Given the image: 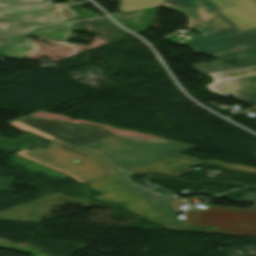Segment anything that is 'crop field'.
Returning a JSON list of instances; mask_svg holds the SVG:
<instances>
[{"mask_svg":"<svg viewBox=\"0 0 256 256\" xmlns=\"http://www.w3.org/2000/svg\"><path fill=\"white\" fill-rule=\"evenodd\" d=\"M8 124L21 131H29L50 140L47 148L36 147L30 151L20 150L14 154L46 168L67 174L79 184L117 173L98 156L54 139L17 121ZM73 159L80 162L76 163L72 161Z\"/></svg>","mask_w":256,"mask_h":256,"instance_id":"obj_1","label":"crop field"},{"mask_svg":"<svg viewBox=\"0 0 256 256\" xmlns=\"http://www.w3.org/2000/svg\"><path fill=\"white\" fill-rule=\"evenodd\" d=\"M111 163L119 171L196 147L171 140H152L111 135L80 146Z\"/></svg>","mask_w":256,"mask_h":256,"instance_id":"obj_2","label":"crop field"},{"mask_svg":"<svg viewBox=\"0 0 256 256\" xmlns=\"http://www.w3.org/2000/svg\"><path fill=\"white\" fill-rule=\"evenodd\" d=\"M187 28L203 35L182 45L208 56L256 46V28L242 31L219 11Z\"/></svg>","mask_w":256,"mask_h":256,"instance_id":"obj_3","label":"crop field"},{"mask_svg":"<svg viewBox=\"0 0 256 256\" xmlns=\"http://www.w3.org/2000/svg\"><path fill=\"white\" fill-rule=\"evenodd\" d=\"M90 187L104 192L103 195L95 198L110 202H117L133 210L140 216L153 221L161 222L164 224V226L173 230L214 233L212 229L188 228L174 224L172 218L128 188L120 174L101 178L97 181L91 182ZM132 200H136V202H131Z\"/></svg>","mask_w":256,"mask_h":256,"instance_id":"obj_4","label":"crop field"},{"mask_svg":"<svg viewBox=\"0 0 256 256\" xmlns=\"http://www.w3.org/2000/svg\"><path fill=\"white\" fill-rule=\"evenodd\" d=\"M184 225L212 227L217 233L256 236V206L237 210L208 205L207 210L186 211Z\"/></svg>","mask_w":256,"mask_h":256,"instance_id":"obj_5","label":"crop field"},{"mask_svg":"<svg viewBox=\"0 0 256 256\" xmlns=\"http://www.w3.org/2000/svg\"><path fill=\"white\" fill-rule=\"evenodd\" d=\"M76 3L69 0L65 4H50L49 2L4 7L0 9V30H12L21 27L43 25L52 22L64 21L75 16L69 5ZM2 24H6L3 26Z\"/></svg>","mask_w":256,"mask_h":256,"instance_id":"obj_6","label":"crop field"},{"mask_svg":"<svg viewBox=\"0 0 256 256\" xmlns=\"http://www.w3.org/2000/svg\"><path fill=\"white\" fill-rule=\"evenodd\" d=\"M19 121L42 131H45L49 134H52L77 146L113 134L96 126L42 117H31Z\"/></svg>","mask_w":256,"mask_h":256,"instance_id":"obj_7","label":"crop field"},{"mask_svg":"<svg viewBox=\"0 0 256 256\" xmlns=\"http://www.w3.org/2000/svg\"><path fill=\"white\" fill-rule=\"evenodd\" d=\"M197 164L212 165L256 175L255 168L240 166L236 164H225L217 161H203L199 159L182 156L180 154L170 156L158 161H154L145 165H141L128 171L162 173L176 176L182 173L189 172L190 169Z\"/></svg>","mask_w":256,"mask_h":256,"instance_id":"obj_8","label":"crop field"},{"mask_svg":"<svg viewBox=\"0 0 256 256\" xmlns=\"http://www.w3.org/2000/svg\"><path fill=\"white\" fill-rule=\"evenodd\" d=\"M72 27H73V23H64V24L47 26V27H41L40 30L32 33L31 35L35 34V35L66 42V40L71 34ZM58 30H62V32ZM52 32H55V33H52ZM31 35H29L25 39L18 40L8 45L6 48L2 50L3 55L9 58L22 59L30 50H32L33 45L29 40V37Z\"/></svg>","mask_w":256,"mask_h":256,"instance_id":"obj_9","label":"crop field"},{"mask_svg":"<svg viewBox=\"0 0 256 256\" xmlns=\"http://www.w3.org/2000/svg\"><path fill=\"white\" fill-rule=\"evenodd\" d=\"M215 58L219 61L211 64L200 63L194 65V67L201 73L207 74L256 65V47L216 56ZM230 61H236L238 67L229 68L225 63Z\"/></svg>","mask_w":256,"mask_h":256,"instance_id":"obj_10","label":"crop field"},{"mask_svg":"<svg viewBox=\"0 0 256 256\" xmlns=\"http://www.w3.org/2000/svg\"><path fill=\"white\" fill-rule=\"evenodd\" d=\"M122 175L128 185H130L133 189H135L142 196L149 199L151 202H153L159 208H161L162 210H164L165 212L169 213L174 218H176V222L178 224H182L181 222L185 221L184 219L177 218V216L179 215V209L185 203L184 201L174 198V197L162 195L150 188L145 189V188L131 182L129 179V176L132 174H130V173H122Z\"/></svg>","mask_w":256,"mask_h":256,"instance_id":"obj_11","label":"crop field"},{"mask_svg":"<svg viewBox=\"0 0 256 256\" xmlns=\"http://www.w3.org/2000/svg\"><path fill=\"white\" fill-rule=\"evenodd\" d=\"M219 11L242 30L256 27V7L247 0H235Z\"/></svg>","mask_w":256,"mask_h":256,"instance_id":"obj_12","label":"crop field"},{"mask_svg":"<svg viewBox=\"0 0 256 256\" xmlns=\"http://www.w3.org/2000/svg\"><path fill=\"white\" fill-rule=\"evenodd\" d=\"M162 6L184 13L189 17L188 23L218 9L209 0H164Z\"/></svg>","mask_w":256,"mask_h":256,"instance_id":"obj_13","label":"crop field"},{"mask_svg":"<svg viewBox=\"0 0 256 256\" xmlns=\"http://www.w3.org/2000/svg\"><path fill=\"white\" fill-rule=\"evenodd\" d=\"M213 93L217 95H234L256 91V75L224 81L212 82L206 85Z\"/></svg>","mask_w":256,"mask_h":256,"instance_id":"obj_14","label":"crop field"},{"mask_svg":"<svg viewBox=\"0 0 256 256\" xmlns=\"http://www.w3.org/2000/svg\"><path fill=\"white\" fill-rule=\"evenodd\" d=\"M120 11H129L134 9L146 8L161 5L163 0H119Z\"/></svg>","mask_w":256,"mask_h":256,"instance_id":"obj_15","label":"crop field"},{"mask_svg":"<svg viewBox=\"0 0 256 256\" xmlns=\"http://www.w3.org/2000/svg\"><path fill=\"white\" fill-rule=\"evenodd\" d=\"M256 74V67L240 70V71H234V72H226V73H218V74H210V76L213 77L214 81L217 80H224V79H230V78H236V77H242V76H248V75H255Z\"/></svg>","mask_w":256,"mask_h":256,"instance_id":"obj_16","label":"crop field"},{"mask_svg":"<svg viewBox=\"0 0 256 256\" xmlns=\"http://www.w3.org/2000/svg\"><path fill=\"white\" fill-rule=\"evenodd\" d=\"M37 28L0 34V48L2 46H4L5 44H7L17 38H20V37H23V36L29 34L30 32H32L33 30H35Z\"/></svg>","mask_w":256,"mask_h":256,"instance_id":"obj_17","label":"crop field"},{"mask_svg":"<svg viewBox=\"0 0 256 256\" xmlns=\"http://www.w3.org/2000/svg\"><path fill=\"white\" fill-rule=\"evenodd\" d=\"M233 97L256 107V93L234 95Z\"/></svg>","mask_w":256,"mask_h":256,"instance_id":"obj_18","label":"crop field"},{"mask_svg":"<svg viewBox=\"0 0 256 256\" xmlns=\"http://www.w3.org/2000/svg\"><path fill=\"white\" fill-rule=\"evenodd\" d=\"M42 0H0V6H2V3H5L4 5H10V4H20V3H30V2H40ZM46 1V0H43Z\"/></svg>","mask_w":256,"mask_h":256,"instance_id":"obj_19","label":"crop field"},{"mask_svg":"<svg viewBox=\"0 0 256 256\" xmlns=\"http://www.w3.org/2000/svg\"><path fill=\"white\" fill-rule=\"evenodd\" d=\"M212 1L215 5H217L219 8L228 4L231 0H210Z\"/></svg>","mask_w":256,"mask_h":256,"instance_id":"obj_20","label":"crop field"},{"mask_svg":"<svg viewBox=\"0 0 256 256\" xmlns=\"http://www.w3.org/2000/svg\"><path fill=\"white\" fill-rule=\"evenodd\" d=\"M245 201L252 202V203L256 201V193L254 192L248 193L247 197L245 198Z\"/></svg>","mask_w":256,"mask_h":256,"instance_id":"obj_21","label":"crop field"},{"mask_svg":"<svg viewBox=\"0 0 256 256\" xmlns=\"http://www.w3.org/2000/svg\"><path fill=\"white\" fill-rule=\"evenodd\" d=\"M256 5V0H251Z\"/></svg>","mask_w":256,"mask_h":256,"instance_id":"obj_22","label":"crop field"},{"mask_svg":"<svg viewBox=\"0 0 256 256\" xmlns=\"http://www.w3.org/2000/svg\"><path fill=\"white\" fill-rule=\"evenodd\" d=\"M256 203V202H255Z\"/></svg>","mask_w":256,"mask_h":256,"instance_id":"obj_23","label":"crop field"}]
</instances>
